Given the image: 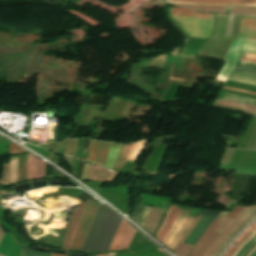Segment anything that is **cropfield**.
<instances>
[{"label": "crop field", "instance_id": "obj_2", "mask_svg": "<svg viewBox=\"0 0 256 256\" xmlns=\"http://www.w3.org/2000/svg\"><path fill=\"white\" fill-rule=\"evenodd\" d=\"M123 146L91 140L86 160L113 169Z\"/></svg>", "mask_w": 256, "mask_h": 256}, {"label": "crop field", "instance_id": "obj_40", "mask_svg": "<svg viewBox=\"0 0 256 256\" xmlns=\"http://www.w3.org/2000/svg\"><path fill=\"white\" fill-rule=\"evenodd\" d=\"M251 231L256 233V225H255V227Z\"/></svg>", "mask_w": 256, "mask_h": 256}, {"label": "crop field", "instance_id": "obj_41", "mask_svg": "<svg viewBox=\"0 0 256 256\" xmlns=\"http://www.w3.org/2000/svg\"><path fill=\"white\" fill-rule=\"evenodd\" d=\"M51 256H65V255H55V254H51Z\"/></svg>", "mask_w": 256, "mask_h": 256}, {"label": "crop field", "instance_id": "obj_13", "mask_svg": "<svg viewBox=\"0 0 256 256\" xmlns=\"http://www.w3.org/2000/svg\"><path fill=\"white\" fill-rule=\"evenodd\" d=\"M186 6V5H180ZM193 9L199 10H211V11H226L233 13H246V14H255L256 15V7H207V6H187Z\"/></svg>", "mask_w": 256, "mask_h": 256}, {"label": "crop field", "instance_id": "obj_39", "mask_svg": "<svg viewBox=\"0 0 256 256\" xmlns=\"http://www.w3.org/2000/svg\"><path fill=\"white\" fill-rule=\"evenodd\" d=\"M98 256H115V253H110V254H107V255H98Z\"/></svg>", "mask_w": 256, "mask_h": 256}, {"label": "crop field", "instance_id": "obj_38", "mask_svg": "<svg viewBox=\"0 0 256 256\" xmlns=\"http://www.w3.org/2000/svg\"><path fill=\"white\" fill-rule=\"evenodd\" d=\"M240 60H243V61H251V62H256V60H252V59H245V58H241Z\"/></svg>", "mask_w": 256, "mask_h": 256}, {"label": "crop field", "instance_id": "obj_33", "mask_svg": "<svg viewBox=\"0 0 256 256\" xmlns=\"http://www.w3.org/2000/svg\"><path fill=\"white\" fill-rule=\"evenodd\" d=\"M29 256H50V254L38 253V252H32V251H30Z\"/></svg>", "mask_w": 256, "mask_h": 256}, {"label": "crop field", "instance_id": "obj_27", "mask_svg": "<svg viewBox=\"0 0 256 256\" xmlns=\"http://www.w3.org/2000/svg\"><path fill=\"white\" fill-rule=\"evenodd\" d=\"M1 184L8 185V164H4Z\"/></svg>", "mask_w": 256, "mask_h": 256}, {"label": "crop field", "instance_id": "obj_8", "mask_svg": "<svg viewBox=\"0 0 256 256\" xmlns=\"http://www.w3.org/2000/svg\"><path fill=\"white\" fill-rule=\"evenodd\" d=\"M136 230H134L132 227H130L128 224L122 220L115 236L112 242V245L109 249V251L113 250H120L125 249L128 247L134 233Z\"/></svg>", "mask_w": 256, "mask_h": 256}, {"label": "crop field", "instance_id": "obj_42", "mask_svg": "<svg viewBox=\"0 0 256 256\" xmlns=\"http://www.w3.org/2000/svg\"><path fill=\"white\" fill-rule=\"evenodd\" d=\"M255 249H256V247L250 252V254L248 256H250Z\"/></svg>", "mask_w": 256, "mask_h": 256}, {"label": "crop field", "instance_id": "obj_9", "mask_svg": "<svg viewBox=\"0 0 256 256\" xmlns=\"http://www.w3.org/2000/svg\"><path fill=\"white\" fill-rule=\"evenodd\" d=\"M145 142L146 140L126 144L113 170L120 173L126 161L134 162Z\"/></svg>", "mask_w": 256, "mask_h": 256}, {"label": "crop field", "instance_id": "obj_28", "mask_svg": "<svg viewBox=\"0 0 256 256\" xmlns=\"http://www.w3.org/2000/svg\"><path fill=\"white\" fill-rule=\"evenodd\" d=\"M173 3L178 4H195V5H217V6H256V5H220V4H196V3H185V2H176V1H170Z\"/></svg>", "mask_w": 256, "mask_h": 256}, {"label": "crop field", "instance_id": "obj_43", "mask_svg": "<svg viewBox=\"0 0 256 256\" xmlns=\"http://www.w3.org/2000/svg\"><path fill=\"white\" fill-rule=\"evenodd\" d=\"M255 254H256V251H254V252H253V254H252L251 256H255Z\"/></svg>", "mask_w": 256, "mask_h": 256}, {"label": "crop field", "instance_id": "obj_3", "mask_svg": "<svg viewBox=\"0 0 256 256\" xmlns=\"http://www.w3.org/2000/svg\"><path fill=\"white\" fill-rule=\"evenodd\" d=\"M254 207V206H251ZM251 207H234L232 211H230L227 217L234 219V217L243 209V208H251ZM251 209H243L234 220L225 217L222 223L217 227L216 230L222 231L218 238L214 241V243L210 246L205 254L212 255L214 251L218 248V246L226 239V237L247 217L250 213ZM204 256H207L205 255Z\"/></svg>", "mask_w": 256, "mask_h": 256}, {"label": "crop field", "instance_id": "obj_6", "mask_svg": "<svg viewBox=\"0 0 256 256\" xmlns=\"http://www.w3.org/2000/svg\"><path fill=\"white\" fill-rule=\"evenodd\" d=\"M187 211L182 210L176 222L171 228V231L168 237L163 242L166 246H168L171 250L177 244V242L181 239L184 232L187 231L191 223L194 221L196 217H188L186 214Z\"/></svg>", "mask_w": 256, "mask_h": 256}, {"label": "crop field", "instance_id": "obj_7", "mask_svg": "<svg viewBox=\"0 0 256 256\" xmlns=\"http://www.w3.org/2000/svg\"><path fill=\"white\" fill-rule=\"evenodd\" d=\"M218 213L219 212L203 210L201 213V215L204 214L203 217L200 219V221L197 223L194 229L190 232V234L184 241V244L195 245L199 237L208 228V226L211 224L214 218L218 215Z\"/></svg>", "mask_w": 256, "mask_h": 256}, {"label": "crop field", "instance_id": "obj_36", "mask_svg": "<svg viewBox=\"0 0 256 256\" xmlns=\"http://www.w3.org/2000/svg\"><path fill=\"white\" fill-rule=\"evenodd\" d=\"M223 88H225V89H231V90H237V91H241V92H244V93H249V94L256 95V93L249 92V91H243V90L233 89V88H229V87H225V86H223Z\"/></svg>", "mask_w": 256, "mask_h": 256}, {"label": "crop field", "instance_id": "obj_31", "mask_svg": "<svg viewBox=\"0 0 256 256\" xmlns=\"http://www.w3.org/2000/svg\"><path fill=\"white\" fill-rule=\"evenodd\" d=\"M175 207H176V206H174V205L172 206L171 211H170V213H169V216H168L167 220L165 221V223L163 224V226H162V228H161V230H160V232H159L157 238H160V236L162 235V233H163V231H164V229H165V226H166V224H167V222H168V220H169V218H170L172 212L174 211Z\"/></svg>", "mask_w": 256, "mask_h": 256}, {"label": "crop field", "instance_id": "obj_23", "mask_svg": "<svg viewBox=\"0 0 256 256\" xmlns=\"http://www.w3.org/2000/svg\"><path fill=\"white\" fill-rule=\"evenodd\" d=\"M253 235H254V233H252V232H249L248 234H246L245 237L243 238V240H242L237 246H235V248L230 252V254H229L228 256H234V254L237 252V250H238L239 248H241V247L244 245V243H245L250 237H252Z\"/></svg>", "mask_w": 256, "mask_h": 256}, {"label": "crop field", "instance_id": "obj_15", "mask_svg": "<svg viewBox=\"0 0 256 256\" xmlns=\"http://www.w3.org/2000/svg\"><path fill=\"white\" fill-rule=\"evenodd\" d=\"M163 209L151 208L144 227L152 234L156 228L157 222L162 214Z\"/></svg>", "mask_w": 256, "mask_h": 256}, {"label": "crop field", "instance_id": "obj_1", "mask_svg": "<svg viewBox=\"0 0 256 256\" xmlns=\"http://www.w3.org/2000/svg\"><path fill=\"white\" fill-rule=\"evenodd\" d=\"M170 14L187 36L208 38L212 32L213 14L184 8H171Z\"/></svg>", "mask_w": 256, "mask_h": 256}, {"label": "crop field", "instance_id": "obj_25", "mask_svg": "<svg viewBox=\"0 0 256 256\" xmlns=\"http://www.w3.org/2000/svg\"><path fill=\"white\" fill-rule=\"evenodd\" d=\"M256 240V234L235 254V256H242V254L249 248V246Z\"/></svg>", "mask_w": 256, "mask_h": 256}, {"label": "crop field", "instance_id": "obj_22", "mask_svg": "<svg viewBox=\"0 0 256 256\" xmlns=\"http://www.w3.org/2000/svg\"><path fill=\"white\" fill-rule=\"evenodd\" d=\"M171 206L172 205H169V204L166 205L165 210H164V212H163V214H162V216H161V218H160V220L158 222L157 228H156V230H155L153 235L157 236L158 231H159L160 227L162 226V224L164 223V221H165V219H166V217H167V215H168V213L170 211Z\"/></svg>", "mask_w": 256, "mask_h": 256}, {"label": "crop field", "instance_id": "obj_30", "mask_svg": "<svg viewBox=\"0 0 256 256\" xmlns=\"http://www.w3.org/2000/svg\"><path fill=\"white\" fill-rule=\"evenodd\" d=\"M23 152H26V151L20 149L19 147H17L16 145H14V144L11 142V145H10V153H11V154L23 153Z\"/></svg>", "mask_w": 256, "mask_h": 256}, {"label": "crop field", "instance_id": "obj_11", "mask_svg": "<svg viewBox=\"0 0 256 256\" xmlns=\"http://www.w3.org/2000/svg\"><path fill=\"white\" fill-rule=\"evenodd\" d=\"M238 37L256 40V17L243 16Z\"/></svg>", "mask_w": 256, "mask_h": 256}, {"label": "crop field", "instance_id": "obj_5", "mask_svg": "<svg viewBox=\"0 0 256 256\" xmlns=\"http://www.w3.org/2000/svg\"><path fill=\"white\" fill-rule=\"evenodd\" d=\"M228 212H220V214L215 218L209 228L201 236L197 244L194 246L192 251L188 256H202L207 248L212 244L220 232L214 231L216 227L221 223Z\"/></svg>", "mask_w": 256, "mask_h": 256}, {"label": "crop field", "instance_id": "obj_20", "mask_svg": "<svg viewBox=\"0 0 256 256\" xmlns=\"http://www.w3.org/2000/svg\"><path fill=\"white\" fill-rule=\"evenodd\" d=\"M17 156L10 158L9 185L17 183Z\"/></svg>", "mask_w": 256, "mask_h": 256}, {"label": "crop field", "instance_id": "obj_34", "mask_svg": "<svg viewBox=\"0 0 256 256\" xmlns=\"http://www.w3.org/2000/svg\"><path fill=\"white\" fill-rule=\"evenodd\" d=\"M242 57L256 59V54L242 53Z\"/></svg>", "mask_w": 256, "mask_h": 256}, {"label": "crop field", "instance_id": "obj_44", "mask_svg": "<svg viewBox=\"0 0 256 256\" xmlns=\"http://www.w3.org/2000/svg\"><path fill=\"white\" fill-rule=\"evenodd\" d=\"M239 39V38H238ZM243 40V39H242ZM251 41V40H250Z\"/></svg>", "mask_w": 256, "mask_h": 256}, {"label": "crop field", "instance_id": "obj_24", "mask_svg": "<svg viewBox=\"0 0 256 256\" xmlns=\"http://www.w3.org/2000/svg\"><path fill=\"white\" fill-rule=\"evenodd\" d=\"M192 246L182 244L175 254L178 256H187Z\"/></svg>", "mask_w": 256, "mask_h": 256}, {"label": "crop field", "instance_id": "obj_17", "mask_svg": "<svg viewBox=\"0 0 256 256\" xmlns=\"http://www.w3.org/2000/svg\"><path fill=\"white\" fill-rule=\"evenodd\" d=\"M27 154L18 156V183L26 181Z\"/></svg>", "mask_w": 256, "mask_h": 256}, {"label": "crop field", "instance_id": "obj_37", "mask_svg": "<svg viewBox=\"0 0 256 256\" xmlns=\"http://www.w3.org/2000/svg\"><path fill=\"white\" fill-rule=\"evenodd\" d=\"M4 233H5V232L2 230V228H1V226H0V240L2 239Z\"/></svg>", "mask_w": 256, "mask_h": 256}, {"label": "crop field", "instance_id": "obj_18", "mask_svg": "<svg viewBox=\"0 0 256 256\" xmlns=\"http://www.w3.org/2000/svg\"><path fill=\"white\" fill-rule=\"evenodd\" d=\"M214 103L215 104H220V105H225V106L236 107V108H240V109H243V110H247V111L256 113V107L249 106V105H244V104H240V103H235V102L225 101V100H219V99H216Z\"/></svg>", "mask_w": 256, "mask_h": 256}, {"label": "crop field", "instance_id": "obj_16", "mask_svg": "<svg viewBox=\"0 0 256 256\" xmlns=\"http://www.w3.org/2000/svg\"><path fill=\"white\" fill-rule=\"evenodd\" d=\"M197 3L256 4V0H176Z\"/></svg>", "mask_w": 256, "mask_h": 256}, {"label": "crop field", "instance_id": "obj_4", "mask_svg": "<svg viewBox=\"0 0 256 256\" xmlns=\"http://www.w3.org/2000/svg\"><path fill=\"white\" fill-rule=\"evenodd\" d=\"M99 203L95 201H90L88 204L81 220L78 226V229L76 231L75 237L73 239L72 245L70 247V251H80L83 241L85 239V236L88 232V229L94 219V216L97 212V209L99 207Z\"/></svg>", "mask_w": 256, "mask_h": 256}, {"label": "crop field", "instance_id": "obj_32", "mask_svg": "<svg viewBox=\"0 0 256 256\" xmlns=\"http://www.w3.org/2000/svg\"><path fill=\"white\" fill-rule=\"evenodd\" d=\"M90 166L91 165H89V164H85V168H84L82 179H87L88 173H89V170H90Z\"/></svg>", "mask_w": 256, "mask_h": 256}, {"label": "crop field", "instance_id": "obj_14", "mask_svg": "<svg viewBox=\"0 0 256 256\" xmlns=\"http://www.w3.org/2000/svg\"><path fill=\"white\" fill-rule=\"evenodd\" d=\"M115 176H116V174H114L110 171H107L103 168L92 165L88 179L102 180V181H113Z\"/></svg>", "mask_w": 256, "mask_h": 256}, {"label": "crop field", "instance_id": "obj_10", "mask_svg": "<svg viewBox=\"0 0 256 256\" xmlns=\"http://www.w3.org/2000/svg\"><path fill=\"white\" fill-rule=\"evenodd\" d=\"M45 162L28 154L27 179L44 178Z\"/></svg>", "mask_w": 256, "mask_h": 256}, {"label": "crop field", "instance_id": "obj_12", "mask_svg": "<svg viewBox=\"0 0 256 256\" xmlns=\"http://www.w3.org/2000/svg\"><path fill=\"white\" fill-rule=\"evenodd\" d=\"M256 216V206L252 210L251 214L227 237V239L219 246L212 256H219L231 240L238 235Z\"/></svg>", "mask_w": 256, "mask_h": 256}, {"label": "crop field", "instance_id": "obj_26", "mask_svg": "<svg viewBox=\"0 0 256 256\" xmlns=\"http://www.w3.org/2000/svg\"><path fill=\"white\" fill-rule=\"evenodd\" d=\"M201 218V216H198L196 218V220L193 222V224L190 226V228L188 229V231L185 233L184 237L179 241V243L176 245L175 249L173 250L174 252H176V250L180 247V245L182 244V242L184 241V239L186 238V236L189 234V232L192 230V228L196 225V223L198 222V220Z\"/></svg>", "mask_w": 256, "mask_h": 256}, {"label": "crop field", "instance_id": "obj_35", "mask_svg": "<svg viewBox=\"0 0 256 256\" xmlns=\"http://www.w3.org/2000/svg\"><path fill=\"white\" fill-rule=\"evenodd\" d=\"M29 254V250H27L26 248L22 247L20 256H28Z\"/></svg>", "mask_w": 256, "mask_h": 256}, {"label": "crop field", "instance_id": "obj_19", "mask_svg": "<svg viewBox=\"0 0 256 256\" xmlns=\"http://www.w3.org/2000/svg\"><path fill=\"white\" fill-rule=\"evenodd\" d=\"M149 210L150 208H147V207L136 206L135 212L132 218H134L140 224L144 225Z\"/></svg>", "mask_w": 256, "mask_h": 256}, {"label": "crop field", "instance_id": "obj_21", "mask_svg": "<svg viewBox=\"0 0 256 256\" xmlns=\"http://www.w3.org/2000/svg\"><path fill=\"white\" fill-rule=\"evenodd\" d=\"M179 212H180V210L175 209V211H174V213H173V215H172V217H171V219H170V221H169V223H168V225H167V227H166V229H165V231H164V233H163V235L160 239L162 242L166 238V236L168 235V232H169L171 226L173 225L174 221L176 220Z\"/></svg>", "mask_w": 256, "mask_h": 256}, {"label": "crop field", "instance_id": "obj_29", "mask_svg": "<svg viewBox=\"0 0 256 256\" xmlns=\"http://www.w3.org/2000/svg\"><path fill=\"white\" fill-rule=\"evenodd\" d=\"M255 224H256V222L253 223V224L237 239V241L231 246V248L225 253L224 256H226V255L233 249V247L235 246V244L238 243V242L243 238V236H244Z\"/></svg>", "mask_w": 256, "mask_h": 256}]
</instances>
